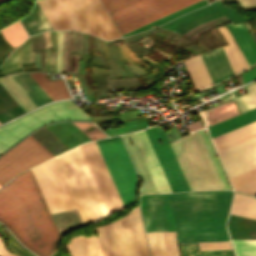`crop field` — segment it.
Listing matches in <instances>:
<instances>
[{
	"label": "crop field",
	"instance_id": "crop-field-24",
	"mask_svg": "<svg viewBox=\"0 0 256 256\" xmlns=\"http://www.w3.org/2000/svg\"><path fill=\"white\" fill-rule=\"evenodd\" d=\"M200 56H193L184 61L197 91L213 84Z\"/></svg>",
	"mask_w": 256,
	"mask_h": 256
},
{
	"label": "crop field",
	"instance_id": "crop-field-32",
	"mask_svg": "<svg viewBox=\"0 0 256 256\" xmlns=\"http://www.w3.org/2000/svg\"><path fill=\"white\" fill-rule=\"evenodd\" d=\"M206 4L207 3H206L205 0H201V1L197 2V3H194V4H192V5L188 6V7H185L183 9L179 10V11H176V12L170 14V15H167V16L159 19V20H156V21H154V22H152L150 24H147V25H145V26H143L141 28H138V29H136V30H134L132 32H129V33L125 34V35L132 34V33L138 32V31H142V30H145V29H148V28H152V27L158 26V25H160V24H162V23H164L166 21H169V20H171V19H173V18H175L177 16H180V15H182V14L188 12V11H191L193 9L199 8V7L204 6ZM125 35H123V36H125Z\"/></svg>",
	"mask_w": 256,
	"mask_h": 256
},
{
	"label": "crop field",
	"instance_id": "crop-field-18",
	"mask_svg": "<svg viewBox=\"0 0 256 256\" xmlns=\"http://www.w3.org/2000/svg\"><path fill=\"white\" fill-rule=\"evenodd\" d=\"M159 193L171 192L145 131L132 133Z\"/></svg>",
	"mask_w": 256,
	"mask_h": 256
},
{
	"label": "crop field",
	"instance_id": "crop-field-42",
	"mask_svg": "<svg viewBox=\"0 0 256 256\" xmlns=\"http://www.w3.org/2000/svg\"><path fill=\"white\" fill-rule=\"evenodd\" d=\"M242 77H243L244 83L246 81H250V80L256 78V67H254L252 70L242 74Z\"/></svg>",
	"mask_w": 256,
	"mask_h": 256
},
{
	"label": "crop field",
	"instance_id": "crop-field-38",
	"mask_svg": "<svg viewBox=\"0 0 256 256\" xmlns=\"http://www.w3.org/2000/svg\"><path fill=\"white\" fill-rule=\"evenodd\" d=\"M107 61H108V65H109V68H110V73H109V77L108 78H123L124 75L120 71V69L117 66V64L114 61V59L107 60Z\"/></svg>",
	"mask_w": 256,
	"mask_h": 256
},
{
	"label": "crop field",
	"instance_id": "crop-field-7",
	"mask_svg": "<svg viewBox=\"0 0 256 256\" xmlns=\"http://www.w3.org/2000/svg\"><path fill=\"white\" fill-rule=\"evenodd\" d=\"M71 118L93 119L71 101H60L13 120L0 127V152L27 131L41 124Z\"/></svg>",
	"mask_w": 256,
	"mask_h": 256
},
{
	"label": "crop field",
	"instance_id": "crop-field-35",
	"mask_svg": "<svg viewBox=\"0 0 256 256\" xmlns=\"http://www.w3.org/2000/svg\"><path fill=\"white\" fill-rule=\"evenodd\" d=\"M129 56H131L134 60H136L140 65H142L145 69H147V70H150V66H148L146 63H144L142 60H140L138 57H136L130 50H129V48L125 45V44H123V45H121L120 46ZM120 48V49H121ZM121 49V51H122V53H123V55H124V57L128 60V62L130 63V64H132L137 70H139L141 73H143V74H145V73H148V72H146L144 69H142L140 66H138L135 62H134V60L131 58V57H129L123 50Z\"/></svg>",
	"mask_w": 256,
	"mask_h": 256
},
{
	"label": "crop field",
	"instance_id": "crop-field-37",
	"mask_svg": "<svg viewBox=\"0 0 256 256\" xmlns=\"http://www.w3.org/2000/svg\"><path fill=\"white\" fill-rule=\"evenodd\" d=\"M57 37L58 44V53L56 59L57 72H63V62H62V54H63V31H55Z\"/></svg>",
	"mask_w": 256,
	"mask_h": 256
},
{
	"label": "crop field",
	"instance_id": "crop-field-44",
	"mask_svg": "<svg viewBox=\"0 0 256 256\" xmlns=\"http://www.w3.org/2000/svg\"><path fill=\"white\" fill-rule=\"evenodd\" d=\"M186 127H187L189 130H197V129L202 128V126H201L199 120H197V121H195V122H193V123L187 125Z\"/></svg>",
	"mask_w": 256,
	"mask_h": 256
},
{
	"label": "crop field",
	"instance_id": "crop-field-34",
	"mask_svg": "<svg viewBox=\"0 0 256 256\" xmlns=\"http://www.w3.org/2000/svg\"><path fill=\"white\" fill-rule=\"evenodd\" d=\"M236 256H256V241L232 240Z\"/></svg>",
	"mask_w": 256,
	"mask_h": 256
},
{
	"label": "crop field",
	"instance_id": "crop-field-28",
	"mask_svg": "<svg viewBox=\"0 0 256 256\" xmlns=\"http://www.w3.org/2000/svg\"><path fill=\"white\" fill-rule=\"evenodd\" d=\"M0 83L13 96V98L28 112L37 108L10 76L0 78Z\"/></svg>",
	"mask_w": 256,
	"mask_h": 256
},
{
	"label": "crop field",
	"instance_id": "crop-field-15",
	"mask_svg": "<svg viewBox=\"0 0 256 256\" xmlns=\"http://www.w3.org/2000/svg\"><path fill=\"white\" fill-rule=\"evenodd\" d=\"M228 177L256 167V138L218 153Z\"/></svg>",
	"mask_w": 256,
	"mask_h": 256
},
{
	"label": "crop field",
	"instance_id": "crop-field-11",
	"mask_svg": "<svg viewBox=\"0 0 256 256\" xmlns=\"http://www.w3.org/2000/svg\"><path fill=\"white\" fill-rule=\"evenodd\" d=\"M227 26L231 31L239 49L241 50L248 66H251L256 62V45L253 42L252 36L250 35L243 23L236 26H233V24L230 23L227 24ZM218 29L229 44L234 43V40L226 27L222 26ZM211 33L221 45L226 44L225 40L222 38L216 28L212 29ZM236 43L223 47L235 74L247 68V65Z\"/></svg>",
	"mask_w": 256,
	"mask_h": 256
},
{
	"label": "crop field",
	"instance_id": "crop-field-46",
	"mask_svg": "<svg viewBox=\"0 0 256 256\" xmlns=\"http://www.w3.org/2000/svg\"><path fill=\"white\" fill-rule=\"evenodd\" d=\"M28 40H29V64H32L33 63L34 52L31 51V39H30V37L28 38Z\"/></svg>",
	"mask_w": 256,
	"mask_h": 256
},
{
	"label": "crop field",
	"instance_id": "crop-field-13",
	"mask_svg": "<svg viewBox=\"0 0 256 256\" xmlns=\"http://www.w3.org/2000/svg\"><path fill=\"white\" fill-rule=\"evenodd\" d=\"M169 185L173 192L190 190L182 171L177 163L173 151L166 139L163 129H156V126L145 130ZM161 140L159 144L157 140Z\"/></svg>",
	"mask_w": 256,
	"mask_h": 256
},
{
	"label": "crop field",
	"instance_id": "crop-field-5",
	"mask_svg": "<svg viewBox=\"0 0 256 256\" xmlns=\"http://www.w3.org/2000/svg\"><path fill=\"white\" fill-rule=\"evenodd\" d=\"M199 0H101L121 35Z\"/></svg>",
	"mask_w": 256,
	"mask_h": 256
},
{
	"label": "crop field",
	"instance_id": "crop-field-17",
	"mask_svg": "<svg viewBox=\"0 0 256 256\" xmlns=\"http://www.w3.org/2000/svg\"><path fill=\"white\" fill-rule=\"evenodd\" d=\"M97 36L104 39L120 37L98 0H76Z\"/></svg>",
	"mask_w": 256,
	"mask_h": 256
},
{
	"label": "crop field",
	"instance_id": "crop-field-31",
	"mask_svg": "<svg viewBox=\"0 0 256 256\" xmlns=\"http://www.w3.org/2000/svg\"><path fill=\"white\" fill-rule=\"evenodd\" d=\"M1 32L5 40L14 47L19 45L27 37L19 22L8 26L7 28L1 30Z\"/></svg>",
	"mask_w": 256,
	"mask_h": 256
},
{
	"label": "crop field",
	"instance_id": "crop-field-4",
	"mask_svg": "<svg viewBox=\"0 0 256 256\" xmlns=\"http://www.w3.org/2000/svg\"><path fill=\"white\" fill-rule=\"evenodd\" d=\"M170 145L191 190L225 189L198 131Z\"/></svg>",
	"mask_w": 256,
	"mask_h": 256
},
{
	"label": "crop field",
	"instance_id": "crop-field-9",
	"mask_svg": "<svg viewBox=\"0 0 256 256\" xmlns=\"http://www.w3.org/2000/svg\"><path fill=\"white\" fill-rule=\"evenodd\" d=\"M31 170L51 213L76 208L54 158Z\"/></svg>",
	"mask_w": 256,
	"mask_h": 256
},
{
	"label": "crop field",
	"instance_id": "crop-field-40",
	"mask_svg": "<svg viewBox=\"0 0 256 256\" xmlns=\"http://www.w3.org/2000/svg\"><path fill=\"white\" fill-rule=\"evenodd\" d=\"M204 250L227 249L225 242L202 243Z\"/></svg>",
	"mask_w": 256,
	"mask_h": 256
},
{
	"label": "crop field",
	"instance_id": "crop-field-21",
	"mask_svg": "<svg viewBox=\"0 0 256 256\" xmlns=\"http://www.w3.org/2000/svg\"><path fill=\"white\" fill-rule=\"evenodd\" d=\"M127 135H130L133 145L130 144ZM122 138L128 148V151L134 161V164H135L141 178L144 181L141 194L158 193L154 186V183L150 177V174L146 168V165L143 161V158L139 152V149L135 143V140H134L132 134L129 133V134L122 135Z\"/></svg>",
	"mask_w": 256,
	"mask_h": 256
},
{
	"label": "crop field",
	"instance_id": "crop-field-47",
	"mask_svg": "<svg viewBox=\"0 0 256 256\" xmlns=\"http://www.w3.org/2000/svg\"><path fill=\"white\" fill-rule=\"evenodd\" d=\"M113 45H114V47H115V49H116V51H117L119 57H120L121 60L123 61V63H124V64L128 63L127 60L122 56V54H121V52H120V50H119V48H118V45H115V44H113Z\"/></svg>",
	"mask_w": 256,
	"mask_h": 256
},
{
	"label": "crop field",
	"instance_id": "crop-field-39",
	"mask_svg": "<svg viewBox=\"0 0 256 256\" xmlns=\"http://www.w3.org/2000/svg\"><path fill=\"white\" fill-rule=\"evenodd\" d=\"M11 239L14 241V243L19 246L20 248H22L24 251H26L27 253H29L31 256H34L33 254H31L28 250H26L25 248H23L9 233V247L10 249H12L14 252L16 253H20L24 256H28L27 254H25L22 250H20L16 245H14L11 241Z\"/></svg>",
	"mask_w": 256,
	"mask_h": 256
},
{
	"label": "crop field",
	"instance_id": "crop-field-29",
	"mask_svg": "<svg viewBox=\"0 0 256 256\" xmlns=\"http://www.w3.org/2000/svg\"><path fill=\"white\" fill-rule=\"evenodd\" d=\"M12 53L5 59L3 63L2 75L7 74V64ZM28 64V41L19 47V70L22 69L21 65ZM18 70V48L15 49L13 56L11 57L8 65V73Z\"/></svg>",
	"mask_w": 256,
	"mask_h": 256
},
{
	"label": "crop field",
	"instance_id": "crop-field-20",
	"mask_svg": "<svg viewBox=\"0 0 256 256\" xmlns=\"http://www.w3.org/2000/svg\"><path fill=\"white\" fill-rule=\"evenodd\" d=\"M256 137V121L213 138L217 152Z\"/></svg>",
	"mask_w": 256,
	"mask_h": 256
},
{
	"label": "crop field",
	"instance_id": "crop-field-30",
	"mask_svg": "<svg viewBox=\"0 0 256 256\" xmlns=\"http://www.w3.org/2000/svg\"><path fill=\"white\" fill-rule=\"evenodd\" d=\"M182 256H233L231 250L199 251L197 243L179 244Z\"/></svg>",
	"mask_w": 256,
	"mask_h": 256
},
{
	"label": "crop field",
	"instance_id": "crop-field-25",
	"mask_svg": "<svg viewBox=\"0 0 256 256\" xmlns=\"http://www.w3.org/2000/svg\"><path fill=\"white\" fill-rule=\"evenodd\" d=\"M20 21L28 35L53 29L37 2L33 8L32 13Z\"/></svg>",
	"mask_w": 256,
	"mask_h": 256
},
{
	"label": "crop field",
	"instance_id": "crop-field-41",
	"mask_svg": "<svg viewBox=\"0 0 256 256\" xmlns=\"http://www.w3.org/2000/svg\"><path fill=\"white\" fill-rule=\"evenodd\" d=\"M12 48H14V47L11 46L9 43H7L0 33V60Z\"/></svg>",
	"mask_w": 256,
	"mask_h": 256
},
{
	"label": "crop field",
	"instance_id": "crop-field-43",
	"mask_svg": "<svg viewBox=\"0 0 256 256\" xmlns=\"http://www.w3.org/2000/svg\"><path fill=\"white\" fill-rule=\"evenodd\" d=\"M241 8L256 6V0H236Z\"/></svg>",
	"mask_w": 256,
	"mask_h": 256
},
{
	"label": "crop field",
	"instance_id": "crop-field-19",
	"mask_svg": "<svg viewBox=\"0 0 256 256\" xmlns=\"http://www.w3.org/2000/svg\"><path fill=\"white\" fill-rule=\"evenodd\" d=\"M201 58L214 84L234 75L222 47L201 54Z\"/></svg>",
	"mask_w": 256,
	"mask_h": 256
},
{
	"label": "crop field",
	"instance_id": "crop-field-45",
	"mask_svg": "<svg viewBox=\"0 0 256 256\" xmlns=\"http://www.w3.org/2000/svg\"><path fill=\"white\" fill-rule=\"evenodd\" d=\"M0 256H17V255L7 252L1 242V239H0Z\"/></svg>",
	"mask_w": 256,
	"mask_h": 256
},
{
	"label": "crop field",
	"instance_id": "crop-field-10",
	"mask_svg": "<svg viewBox=\"0 0 256 256\" xmlns=\"http://www.w3.org/2000/svg\"><path fill=\"white\" fill-rule=\"evenodd\" d=\"M53 157L31 135L0 158V187L17 174Z\"/></svg>",
	"mask_w": 256,
	"mask_h": 256
},
{
	"label": "crop field",
	"instance_id": "crop-field-52",
	"mask_svg": "<svg viewBox=\"0 0 256 256\" xmlns=\"http://www.w3.org/2000/svg\"><path fill=\"white\" fill-rule=\"evenodd\" d=\"M143 57L146 58L147 60L153 62L154 64L158 65V64H157L156 62H154L153 60H151V59H149V58H147V57H145V56H143Z\"/></svg>",
	"mask_w": 256,
	"mask_h": 256
},
{
	"label": "crop field",
	"instance_id": "crop-field-6",
	"mask_svg": "<svg viewBox=\"0 0 256 256\" xmlns=\"http://www.w3.org/2000/svg\"><path fill=\"white\" fill-rule=\"evenodd\" d=\"M95 229L103 256H149L138 207L125 217Z\"/></svg>",
	"mask_w": 256,
	"mask_h": 256
},
{
	"label": "crop field",
	"instance_id": "crop-field-49",
	"mask_svg": "<svg viewBox=\"0 0 256 256\" xmlns=\"http://www.w3.org/2000/svg\"><path fill=\"white\" fill-rule=\"evenodd\" d=\"M93 70H101V71H109V70H105V69H99V68H94L92 67ZM101 71H93V72H101ZM101 73H108V72H101ZM93 74H100V73H93ZM101 75H108V74H101Z\"/></svg>",
	"mask_w": 256,
	"mask_h": 256
},
{
	"label": "crop field",
	"instance_id": "crop-field-48",
	"mask_svg": "<svg viewBox=\"0 0 256 256\" xmlns=\"http://www.w3.org/2000/svg\"><path fill=\"white\" fill-rule=\"evenodd\" d=\"M24 71H31V70H37L35 65H31V66H25L23 67Z\"/></svg>",
	"mask_w": 256,
	"mask_h": 256
},
{
	"label": "crop field",
	"instance_id": "crop-field-51",
	"mask_svg": "<svg viewBox=\"0 0 256 256\" xmlns=\"http://www.w3.org/2000/svg\"><path fill=\"white\" fill-rule=\"evenodd\" d=\"M160 71H158L157 69L153 68L152 73L157 76L159 74Z\"/></svg>",
	"mask_w": 256,
	"mask_h": 256
},
{
	"label": "crop field",
	"instance_id": "crop-field-33",
	"mask_svg": "<svg viewBox=\"0 0 256 256\" xmlns=\"http://www.w3.org/2000/svg\"><path fill=\"white\" fill-rule=\"evenodd\" d=\"M240 189L256 193V168L233 177Z\"/></svg>",
	"mask_w": 256,
	"mask_h": 256
},
{
	"label": "crop field",
	"instance_id": "crop-field-12",
	"mask_svg": "<svg viewBox=\"0 0 256 256\" xmlns=\"http://www.w3.org/2000/svg\"><path fill=\"white\" fill-rule=\"evenodd\" d=\"M37 1L54 29H74L96 35L75 0Z\"/></svg>",
	"mask_w": 256,
	"mask_h": 256
},
{
	"label": "crop field",
	"instance_id": "crop-field-23",
	"mask_svg": "<svg viewBox=\"0 0 256 256\" xmlns=\"http://www.w3.org/2000/svg\"><path fill=\"white\" fill-rule=\"evenodd\" d=\"M71 256H102L99 239L95 236H78L66 245Z\"/></svg>",
	"mask_w": 256,
	"mask_h": 256
},
{
	"label": "crop field",
	"instance_id": "crop-field-27",
	"mask_svg": "<svg viewBox=\"0 0 256 256\" xmlns=\"http://www.w3.org/2000/svg\"><path fill=\"white\" fill-rule=\"evenodd\" d=\"M53 100L70 98L63 78L48 83L39 72L30 73Z\"/></svg>",
	"mask_w": 256,
	"mask_h": 256
},
{
	"label": "crop field",
	"instance_id": "crop-field-8",
	"mask_svg": "<svg viewBox=\"0 0 256 256\" xmlns=\"http://www.w3.org/2000/svg\"><path fill=\"white\" fill-rule=\"evenodd\" d=\"M121 200L126 206L133 201L136 171L119 136L95 141Z\"/></svg>",
	"mask_w": 256,
	"mask_h": 256
},
{
	"label": "crop field",
	"instance_id": "crop-field-26",
	"mask_svg": "<svg viewBox=\"0 0 256 256\" xmlns=\"http://www.w3.org/2000/svg\"><path fill=\"white\" fill-rule=\"evenodd\" d=\"M253 213H256V198L235 193L230 216L242 218ZM243 219L256 221V214Z\"/></svg>",
	"mask_w": 256,
	"mask_h": 256
},
{
	"label": "crop field",
	"instance_id": "crop-field-16",
	"mask_svg": "<svg viewBox=\"0 0 256 256\" xmlns=\"http://www.w3.org/2000/svg\"><path fill=\"white\" fill-rule=\"evenodd\" d=\"M245 88L248 93L235 98L242 113L256 107V83ZM255 120L256 109H253L234 118L209 126V134L213 138Z\"/></svg>",
	"mask_w": 256,
	"mask_h": 256
},
{
	"label": "crop field",
	"instance_id": "crop-field-14",
	"mask_svg": "<svg viewBox=\"0 0 256 256\" xmlns=\"http://www.w3.org/2000/svg\"><path fill=\"white\" fill-rule=\"evenodd\" d=\"M80 147L110 213L116 209L124 208L95 142L84 143Z\"/></svg>",
	"mask_w": 256,
	"mask_h": 256
},
{
	"label": "crop field",
	"instance_id": "crop-field-2",
	"mask_svg": "<svg viewBox=\"0 0 256 256\" xmlns=\"http://www.w3.org/2000/svg\"><path fill=\"white\" fill-rule=\"evenodd\" d=\"M0 222L37 256L62 239L30 170L0 189Z\"/></svg>",
	"mask_w": 256,
	"mask_h": 256
},
{
	"label": "crop field",
	"instance_id": "crop-field-22",
	"mask_svg": "<svg viewBox=\"0 0 256 256\" xmlns=\"http://www.w3.org/2000/svg\"><path fill=\"white\" fill-rule=\"evenodd\" d=\"M37 107L52 101L29 74L10 75Z\"/></svg>",
	"mask_w": 256,
	"mask_h": 256
},
{
	"label": "crop field",
	"instance_id": "crop-field-3",
	"mask_svg": "<svg viewBox=\"0 0 256 256\" xmlns=\"http://www.w3.org/2000/svg\"><path fill=\"white\" fill-rule=\"evenodd\" d=\"M55 159L84 225L110 215L80 147L78 146Z\"/></svg>",
	"mask_w": 256,
	"mask_h": 256
},
{
	"label": "crop field",
	"instance_id": "crop-field-36",
	"mask_svg": "<svg viewBox=\"0 0 256 256\" xmlns=\"http://www.w3.org/2000/svg\"><path fill=\"white\" fill-rule=\"evenodd\" d=\"M199 132H200V134H201V136H202V138L204 140V143H205V145H206V147H207V149H208V151L210 153V156H211V158H212V160H213V162L215 164V167H216V169H217V171H218V173H219V175L221 177V180H222L225 188L226 189H230V187H229V185H228V183L226 181V178H225V176H224V174H223V172L221 170V167H220V165H219V163L217 161V158H216V156H215V154L213 152V149H212V147H211V145H210V143L208 141V138H207L205 132L203 130H200Z\"/></svg>",
	"mask_w": 256,
	"mask_h": 256
},
{
	"label": "crop field",
	"instance_id": "crop-field-1",
	"mask_svg": "<svg viewBox=\"0 0 256 256\" xmlns=\"http://www.w3.org/2000/svg\"><path fill=\"white\" fill-rule=\"evenodd\" d=\"M178 243L229 240L224 221L230 191L168 194ZM167 194L141 196L147 233L175 230Z\"/></svg>",
	"mask_w": 256,
	"mask_h": 256
},
{
	"label": "crop field",
	"instance_id": "crop-field-50",
	"mask_svg": "<svg viewBox=\"0 0 256 256\" xmlns=\"http://www.w3.org/2000/svg\"><path fill=\"white\" fill-rule=\"evenodd\" d=\"M47 58H48V49H46V55H45V67H46V71H48Z\"/></svg>",
	"mask_w": 256,
	"mask_h": 256
}]
</instances>
